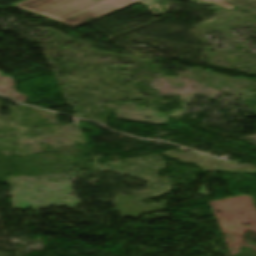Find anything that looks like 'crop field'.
I'll list each match as a JSON object with an SVG mask.
<instances>
[{"label":"crop field","instance_id":"crop-field-1","mask_svg":"<svg viewBox=\"0 0 256 256\" xmlns=\"http://www.w3.org/2000/svg\"><path fill=\"white\" fill-rule=\"evenodd\" d=\"M140 1L143 0H24L13 5L78 27Z\"/></svg>","mask_w":256,"mask_h":256},{"label":"crop field","instance_id":"crop-field-2","mask_svg":"<svg viewBox=\"0 0 256 256\" xmlns=\"http://www.w3.org/2000/svg\"><path fill=\"white\" fill-rule=\"evenodd\" d=\"M161 1H163V0H145V1L140 2V3L143 6H145V7L158 3V4L152 6V7L148 8V9L151 10L155 16H160V15H165V13L159 7V3ZM204 1L205 2H211L210 0H204ZM213 1L216 2L217 4L223 6L226 9H233V8H235L233 5L227 3L226 0H225L226 2L223 1V0H213Z\"/></svg>","mask_w":256,"mask_h":256}]
</instances>
